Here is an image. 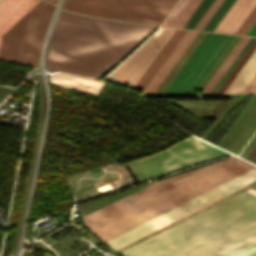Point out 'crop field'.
<instances>
[{"label":"crop field","instance_id":"obj_1","mask_svg":"<svg viewBox=\"0 0 256 256\" xmlns=\"http://www.w3.org/2000/svg\"><path fill=\"white\" fill-rule=\"evenodd\" d=\"M229 160V159H228ZM180 174L137 191L83 217L90 229L225 162ZM253 165L235 157L93 229L105 241L179 203H182L250 168ZM256 180V167L177 205L107 241L114 250Z\"/></svg>","mask_w":256,"mask_h":256},{"label":"crop field","instance_id":"obj_2","mask_svg":"<svg viewBox=\"0 0 256 256\" xmlns=\"http://www.w3.org/2000/svg\"><path fill=\"white\" fill-rule=\"evenodd\" d=\"M255 241L256 200L240 193L120 253L227 256Z\"/></svg>","mask_w":256,"mask_h":256},{"label":"crop field","instance_id":"obj_3","mask_svg":"<svg viewBox=\"0 0 256 256\" xmlns=\"http://www.w3.org/2000/svg\"><path fill=\"white\" fill-rule=\"evenodd\" d=\"M152 29L59 10L42 67L99 78Z\"/></svg>","mask_w":256,"mask_h":256},{"label":"crop field","instance_id":"obj_4","mask_svg":"<svg viewBox=\"0 0 256 256\" xmlns=\"http://www.w3.org/2000/svg\"><path fill=\"white\" fill-rule=\"evenodd\" d=\"M227 155L230 154L190 136L127 164L141 183Z\"/></svg>","mask_w":256,"mask_h":256},{"label":"crop field","instance_id":"obj_5","mask_svg":"<svg viewBox=\"0 0 256 256\" xmlns=\"http://www.w3.org/2000/svg\"><path fill=\"white\" fill-rule=\"evenodd\" d=\"M54 5L40 0L1 38L0 59L36 67Z\"/></svg>","mask_w":256,"mask_h":256},{"label":"crop field","instance_id":"obj_6","mask_svg":"<svg viewBox=\"0 0 256 256\" xmlns=\"http://www.w3.org/2000/svg\"><path fill=\"white\" fill-rule=\"evenodd\" d=\"M177 1L65 0L62 8L96 17L160 25Z\"/></svg>","mask_w":256,"mask_h":256},{"label":"crop field","instance_id":"obj_7","mask_svg":"<svg viewBox=\"0 0 256 256\" xmlns=\"http://www.w3.org/2000/svg\"><path fill=\"white\" fill-rule=\"evenodd\" d=\"M234 37L208 33L165 92L194 93Z\"/></svg>","mask_w":256,"mask_h":256},{"label":"crop field","instance_id":"obj_8","mask_svg":"<svg viewBox=\"0 0 256 256\" xmlns=\"http://www.w3.org/2000/svg\"><path fill=\"white\" fill-rule=\"evenodd\" d=\"M173 31L174 29L160 28L105 80L133 88Z\"/></svg>","mask_w":256,"mask_h":256},{"label":"crop field","instance_id":"obj_9","mask_svg":"<svg viewBox=\"0 0 256 256\" xmlns=\"http://www.w3.org/2000/svg\"><path fill=\"white\" fill-rule=\"evenodd\" d=\"M255 47H256V40L253 42V44L247 50L245 55L239 61L237 66L234 68V70L228 76V78L223 83V85L220 87V89L217 91V93H223V91L229 85V83L234 78V76L237 74L239 69L245 63L247 58L253 52ZM224 93L256 94V49L251 54V56L248 58L246 63L240 69V71L235 76V78L232 80V82L227 87V89L224 91Z\"/></svg>","mask_w":256,"mask_h":256},{"label":"crop field","instance_id":"obj_10","mask_svg":"<svg viewBox=\"0 0 256 256\" xmlns=\"http://www.w3.org/2000/svg\"><path fill=\"white\" fill-rule=\"evenodd\" d=\"M39 0H2L0 2V38Z\"/></svg>","mask_w":256,"mask_h":256},{"label":"crop field","instance_id":"obj_11","mask_svg":"<svg viewBox=\"0 0 256 256\" xmlns=\"http://www.w3.org/2000/svg\"><path fill=\"white\" fill-rule=\"evenodd\" d=\"M255 4L256 0H235L214 31L234 34Z\"/></svg>","mask_w":256,"mask_h":256},{"label":"crop field","instance_id":"obj_12","mask_svg":"<svg viewBox=\"0 0 256 256\" xmlns=\"http://www.w3.org/2000/svg\"><path fill=\"white\" fill-rule=\"evenodd\" d=\"M198 32L187 31L143 92H154Z\"/></svg>","mask_w":256,"mask_h":256},{"label":"crop field","instance_id":"obj_13","mask_svg":"<svg viewBox=\"0 0 256 256\" xmlns=\"http://www.w3.org/2000/svg\"><path fill=\"white\" fill-rule=\"evenodd\" d=\"M185 32H186L185 30H179V29H176L173 32V34L170 36L168 41L162 47L160 52L157 54L155 59L149 65V67L144 72V74L139 79V81L134 86V88L142 90L145 87V85L148 83V81L151 79V77L154 75V73L157 71L160 65L164 62V60L167 58V56L170 54V52L173 50V48L176 46V44L185 34Z\"/></svg>","mask_w":256,"mask_h":256},{"label":"crop field","instance_id":"obj_14","mask_svg":"<svg viewBox=\"0 0 256 256\" xmlns=\"http://www.w3.org/2000/svg\"><path fill=\"white\" fill-rule=\"evenodd\" d=\"M53 75L52 83L92 92L98 95L105 85V82L103 81L76 77L63 73H55Z\"/></svg>","mask_w":256,"mask_h":256},{"label":"crop field","instance_id":"obj_15","mask_svg":"<svg viewBox=\"0 0 256 256\" xmlns=\"http://www.w3.org/2000/svg\"><path fill=\"white\" fill-rule=\"evenodd\" d=\"M201 0H180L161 26L182 28Z\"/></svg>","mask_w":256,"mask_h":256},{"label":"crop field","instance_id":"obj_16","mask_svg":"<svg viewBox=\"0 0 256 256\" xmlns=\"http://www.w3.org/2000/svg\"><path fill=\"white\" fill-rule=\"evenodd\" d=\"M250 39V37L242 36V38L239 40V42L236 44L234 49L231 51L229 56L226 58V60L223 62L221 67L218 69V71L215 73L213 78L210 80L208 85L205 87V89L202 91V93H211V91L214 89L216 84L219 82V80L222 78L224 73L227 71L229 66L232 64L234 59L237 57L239 52L242 50V48L245 46L247 41Z\"/></svg>","mask_w":256,"mask_h":256},{"label":"crop field","instance_id":"obj_17","mask_svg":"<svg viewBox=\"0 0 256 256\" xmlns=\"http://www.w3.org/2000/svg\"><path fill=\"white\" fill-rule=\"evenodd\" d=\"M233 2L234 0H224L203 30L213 31Z\"/></svg>","mask_w":256,"mask_h":256},{"label":"crop field","instance_id":"obj_18","mask_svg":"<svg viewBox=\"0 0 256 256\" xmlns=\"http://www.w3.org/2000/svg\"><path fill=\"white\" fill-rule=\"evenodd\" d=\"M212 2L213 0H202L183 28L193 29Z\"/></svg>","mask_w":256,"mask_h":256},{"label":"crop field","instance_id":"obj_19","mask_svg":"<svg viewBox=\"0 0 256 256\" xmlns=\"http://www.w3.org/2000/svg\"><path fill=\"white\" fill-rule=\"evenodd\" d=\"M223 0H215L212 5L209 7V9L206 11V13L203 15V17L200 19V21L197 23V25L194 27V29L202 30V28L205 26V24L208 22L210 17L213 15V13L216 11L218 6L221 4Z\"/></svg>","mask_w":256,"mask_h":256},{"label":"crop field","instance_id":"obj_20","mask_svg":"<svg viewBox=\"0 0 256 256\" xmlns=\"http://www.w3.org/2000/svg\"><path fill=\"white\" fill-rule=\"evenodd\" d=\"M255 40V37H251V39L248 41V43L246 44V46L243 48V50L240 52V54L238 55V57L235 59V61L233 62V64L230 66V68L228 69V71L225 73V75L223 76V78L220 80V82L217 84V86L215 87V89L212 91V93H216V91L219 89V87L222 85V83L225 81V79L227 78V76L230 74V72L233 70V68L235 67V65L238 63V61L241 59V57L244 55V53L246 52V50L249 48V46L252 44V42Z\"/></svg>","mask_w":256,"mask_h":256},{"label":"crop field","instance_id":"obj_21","mask_svg":"<svg viewBox=\"0 0 256 256\" xmlns=\"http://www.w3.org/2000/svg\"><path fill=\"white\" fill-rule=\"evenodd\" d=\"M255 21H256V6L236 33L246 35V33L249 31V29L252 27Z\"/></svg>","mask_w":256,"mask_h":256},{"label":"crop field","instance_id":"obj_22","mask_svg":"<svg viewBox=\"0 0 256 256\" xmlns=\"http://www.w3.org/2000/svg\"><path fill=\"white\" fill-rule=\"evenodd\" d=\"M229 256H256V242Z\"/></svg>","mask_w":256,"mask_h":256},{"label":"crop field","instance_id":"obj_23","mask_svg":"<svg viewBox=\"0 0 256 256\" xmlns=\"http://www.w3.org/2000/svg\"><path fill=\"white\" fill-rule=\"evenodd\" d=\"M11 90V88L0 87V102Z\"/></svg>","mask_w":256,"mask_h":256},{"label":"crop field","instance_id":"obj_24","mask_svg":"<svg viewBox=\"0 0 256 256\" xmlns=\"http://www.w3.org/2000/svg\"><path fill=\"white\" fill-rule=\"evenodd\" d=\"M247 35H254V36H256V22L253 25V27L250 29V31L247 33Z\"/></svg>","mask_w":256,"mask_h":256},{"label":"crop field","instance_id":"obj_25","mask_svg":"<svg viewBox=\"0 0 256 256\" xmlns=\"http://www.w3.org/2000/svg\"><path fill=\"white\" fill-rule=\"evenodd\" d=\"M46 1L54 3V4H56V2H57V0H46Z\"/></svg>","mask_w":256,"mask_h":256},{"label":"crop field","instance_id":"obj_26","mask_svg":"<svg viewBox=\"0 0 256 256\" xmlns=\"http://www.w3.org/2000/svg\"><path fill=\"white\" fill-rule=\"evenodd\" d=\"M1 1V0H0Z\"/></svg>","mask_w":256,"mask_h":256}]
</instances>
